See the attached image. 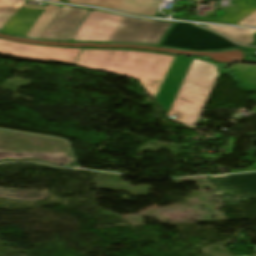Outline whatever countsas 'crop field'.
Segmentation results:
<instances>
[{"mask_svg":"<svg viewBox=\"0 0 256 256\" xmlns=\"http://www.w3.org/2000/svg\"><path fill=\"white\" fill-rule=\"evenodd\" d=\"M174 58L145 51L83 49L75 66L137 79L155 99Z\"/></svg>","mask_w":256,"mask_h":256,"instance_id":"1","label":"crop field"},{"mask_svg":"<svg viewBox=\"0 0 256 256\" xmlns=\"http://www.w3.org/2000/svg\"><path fill=\"white\" fill-rule=\"evenodd\" d=\"M218 76L216 65L199 59L194 60L168 114L169 117L177 116L174 121L194 128Z\"/></svg>","mask_w":256,"mask_h":256,"instance_id":"2","label":"crop field"},{"mask_svg":"<svg viewBox=\"0 0 256 256\" xmlns=\"http://www.w3.org/2000/svg\"><path fill=\"white\" fill-rule=\"evenodd\" d=\"M161 45L188 50H211L229 47H242L219 35L185 23H176Z\"/></svg>","mask_w":256,"mask_h":256,"instance_id":"3","label":"crop field"},{"mask_svg":"<svg viewBox=\"0 0 256 256\" xmlns=\"http://www.w3.org/2000/svg\"><path fill=\"white\" fill-rule=\"evenodd\" d=\"M82 49L18 43L0 39V55L74 65Z\"/></svg>","mask_w":256,"mask_h":256,"instance_id":"4","label":"crop field"},{"mask_svg":"<svg viewBox=\"0 0 256 256\" xmlns=\"http://www.w3.org/2000/svg\"><path fill=\"white\" fill-rule=\"evenodd\" d=\"M125 17L90 10L71 41L110 42Z\"/></svg>","mask_w":256,"mask_h":256,"instance_id":"5","label":"crop field"},{"mask_svg":"<svg viewBox=\"0 0 256 256\" xmlns=\"http://www.w3.org/2000/svg\"><path fill=\"white\" fill-rule=\"evenodd\" d=\"M171 24L126 17L112 42L158 44Z\"/></svg>","mask_w":256,"mask_h":256,"instance_id":"6","label":"crop field"},{"mask_svg":"<svg viewBox=\"0 0 256 256\" xmlns=\"http://www.w3.org/2000/svg\"><path fill=\"white\" fill-rule=\"evenodd\" d=\"M207 180L218 186L216 193L225 197V204L236 205L249 198L256 199V173L208 176ZM230 191L232 194L229 193Z\"/></svg>","mask_w":256,"mask_h":256,"instance_id":"7","label":"crop field"},{"mask_svg":"<svg viewBox=\"0 0 256 256\" xmlns=\"http://www.w3.org/2000/svg\"><path fill=\"white\" fill-rule=\"evenodd\" d=\"M88 11L62 6L39 39L69 42Z\"/></svg>","mask_w":256,"mask_h":256,"instance_id":"8","label":"crop field"},{"mask_svg":"<svg viewBox=\"0 0 256 256\" xmlns=\"http://www.w3.org/2000/svg\"><path fill=\"white\" fill-rule=\"evenodd\" d=\"M192 60L193 59L187 57H176L161 85L156 100L167 113L177 95Z\"/></svg>","mask_w":256,"mask_h":256,"instance_id":"9","label":"crop field"},{"mask_svg":"<svg viewBox=\"0 0 256 256\" xmlns=\"http://www.w3.org/2000/svg\"><path fill=\"white\" fill-rule=\"evenodd\" d=\"M159 0H68L70 4L92 5L139 15H156Z\"/></svg>","mask_w":256,"mask_h":256,"instance_id":"10","label":"crop field"},{"mask_svg":"<svg viewBox=\"0 0 256 256\" xmlns=\"http://www.w3.org/2000/svg\"><path fill=\"white\" fill-rule=\"evenodd\" d=\"M43 10L19 9L0 30L3 33L25 37Z\"/></svg>","mask_w":256,"mask_h":256,"instance_id":"11","label":"crop field"},{"mask_svg":"<svg viewBox=\"0 0 256 256\" xmlns=\"http://www.w3.org/2000/svg\"><path fill=\"white\" fill-rule=\"evenodd\" d=\"M23 7L45 9L44 12L41 14V16L38 18V20L36 21V23L30 29L27 35L28 38L38 39V37L41 35V33L49 24L52 17L59 11L61 6L49 4L47 7H37V6L24 3Z\"/></svg>","mask_w":256,"mask_h":256,"instance_id":"12","label":"crop field"},{"mask_svg":"<svg viewBox=\"0 0 256 256\" xmlns=\"http://www.w3.org/2000/svg\"><path fill=\"white\" fill-rule=\"evenodd\" d=\"M27 157L38 158V159L56 163V164H68L69 162H71V158L65 155L64 152H58V153H16L14 151L0 152V160L5 158L23 159Z\"/></svg>","mask_w":256,"mask_h":256,"instance_id":"13","label":"crop field"},{"mask_svg":"<svg viewBox=\"0 0 256 256\" xmlns=\"http://www.w3.org/2000/svg\"><path fill=\"white\" fill-rule=\"evenodd\" d=\"M48 192L22 191L14 189L0 188V197L15 200H42L47 198Z\"/></svg>","mask_w":256,"mask_h":256,"instance_id":"14","label":"crop field"},{"mask_svg":"<svg viewBox=\"0 0 256 256\" xmlns=\"http://www.w3.org/2000/svg\"><path fill=\"white\" fill-rule=\"evenodd\" d=\"M26 0H0V29Z\"/></svg>","mask_w":256,"mask_h":256,"instance_id":"15","label":"crop field"},{"mask_svg":"<svg viewBox=\"0 0 256 256\" xmlns=\"http://www.w3.org/2000/svg\"><path fill=\"white\" fill-rule=\"evenodd\" d=\"M231 69H238L237 76L246 84L256 85V66L235 64Z\"/></svg>","mask_w":256,"mask_h":256,"instance_id":"16","label":"crop field"},{"mask_svg":"<svg viewBox=\"0 0 256 256\" xmlns=\"http://www.w3.org/2000/svg\"><path fill=\"white\" fill-rule=\"evenodd\" d=\"M255 31L256 30L233 28L224 35H226L227 37H229L237 42H240L243 44H250L253 42L252 36Z\"/></svg>","mask_w":256,"mask_h":256,"instance_id":"17","label":"crop field"},{"mask_svg":"<svg viewBox=\"0 0 256 256\" xmlns=\"http://www.w3.org/2000/svg\"><path fill=\"white\" fill-rule=\"evenodd\" d=\"M240 25L256 26V11L239 23Z\"/></svg>","mask_w":256,"mask_h":256,"instance_id":"18","label":"crop field"},{"mask_svg":"<svg viewBox=\"0 0 256 256\" xmlns=\"http://www.w3.org/2000/svg\"><path fill=\"white\" fill-rule=\"evenodd\" d=\"M206 27L213 29V30H217L222 34L226 33L228 30L231 29V27H223V26H206Z\"/></svg>","mask_w":256,"mask_h":256,"instance_id":"19","label":"crop field"},{"mask_svg":"<svg viewBox=\"0 0 256 256\" xmlns=\"http://www.w3.org/2000/svg\"><path fill=\"white\" fill-rule=\"evenodd\" d=\"M255 170H256V166H252V167L247 168V169H238V170L232 171L231 173H235V172H245V171H255Z\"/></svg>","mask_w":256,"mask_h":256,"instance_id":"20","label":"crop field"},{"mask_svg":"<svg viewBox=\"0 0 256 256\" xmlns=\"http://www.w3.org/2000/svg\"><path fill=\"white\" fill-rule=\"evenodd\" d=\"M52 1H57V2H60L61 0H52Z\"/></svg>","mask_w":256,"mask_h":256,"instance_id":"21","label":"crop field"}]
</instances>
